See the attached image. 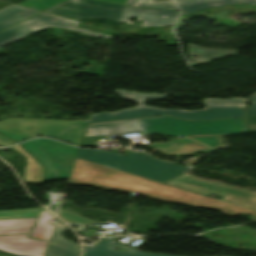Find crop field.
Segmentation results:
<instances>
[{
  "label": "crop field",
  "mask_w": 256,
  "mask_h": 256,
  "mask_svg": "<svg viewBox=\"0 0 256 256\" xmlns=\"http://www.w3.org/2000/svg\"><path fill=\"white\" fill-rule=\"evenodd\" d=\"M87 122L10 118L0 122V133L17 142L37 135H46L79 145ZM29 124L35 125L36 129L25 131V126Z\"/></svg>",
  "instance_id": "crop-field-5"
},
{
  "label": "crop field",
  "mask_w": 256,
  "mask_h": 256,
  "mask_svg": "<svg viewBox=\"0 0 256 256\" xmlns=\"http://www.w3.org/2000/svg\"><path fill=\"white\" fill-rule=\"evenodd\" d=\"M175 142H183V144L180 147H174L172 145ZM222 143L221 136H197L185 137L183 140H174L167 144H152L149 146L158 149L167 156H178L190 155L194 152L208 153L223 147L224 144Z\"/></svg>",
  "instance_id": "crop-field-8"
},
{
  "label": "crop field",
  "mask_w": 256,
  "mask_h": 256,
  "mask_svg": "<svg viewBox=\"0 0 256 256\" xmlns=\"http://www.w3.org/2000/svg\"><path fill=\"white\" fill-rule=\"evenodd\" d=\"M256 131V117L246 119V132Z\"/></svg>",
  "instance_id": "crop-field-23"
},
{
  "label": "crop field",
  "mask_w": 256,
  "mask_h": 256,
  "mask_svg": "<svg viewBox=\"0 0 256 256\" xmlns=\"http://www.w3.org/2000/svg\"><path fill=\"white\" fill-rule=\"evenodd\" d=\"M7 5H10V3L0 1V8L7 6Z\"/></svg>",
  "instance_id": "crop-field-27"
},
{
  "label": "crop field",
  "mask_w": 256,
  "mask_h": 256,
  "mask_svg": "<svg viewBox=\"0 0 256 256\" xmlns=\"http://www.w3.org/2000/svg\"><path fill=\"white\" fill-rule=\"evenodd\" d=\"M59 206H49L48 209H50L52 212H54L56 214L57 212V209H58Z\"/></svg>",
  "instance_id": "crop-field-26"
},
{
  "label": "crop field",
  "mask_w": 256,
  "mask_h": 256,
  "mask_svg": "<svg viewBox=\"0 0 256 256\" xmlns=\"http://www.w3.org/2000/svg\"><path fill=\"white\" fill-rule=\"evenodd\" d=\"M15 150L27 157V164L24 169V180L26 183L42 182V166L29 154H27L19 145L13 146Z\"/></svg>",
  "instance_id": "crop-field-17"
},
{
  "label": "crop field",
  "mask_w": 256,
  "mask_h": 256,
  "mask_svg": "<svg viewBox=\"0 0 256 256\" xmlns=\"http://www.w3.org/2000/svg\"><path fill=\"white\" fill-rule=\"evenodd\" d=\"M243 118L210 122H191L167 116L139 118L88 125L85 137L142 131L164 135L227 134L242 131Z\"/></svg>",
  "instance_id": "crop-field-2"
},
{
  "label": "crop field",
  "mask_w": 256,
  "mask_h": 256,
  "mask_svg": "<svg viewBox=\"0 0 256 256\" xmlns=\"http://www.w3.org/2000/svg\"><path fill=\"white\" fill-rule=\"evenodd\" d=\"M40 210L41 208L15 211H0V219L37 217Z\"/></svg>",
  "instance_id": "crop-field-21"
},
{
  "label": "crop field",
  "mask_w": 256,
  "mask_h": 256,
  "mask_svg": "<svg viewBox=\"0 0 256 256\" xmlns=\"http://www.w3.org/2000/svg\"><path fill=\"white\" fill-rule=\"evenodd\" d=\"M69 183L136 192L164 201H172L199 208L215 209L229 216L249 214L252 215L251 220L256 221V211L224 203L80 159H76L75 161Z\"/></svg>",
  "instance_id": "crop-field-1"
},
{
  "label": "crop field",
  "mask_w": 256,
  "mask_h": 256,
  "mask_svg": "<svg viewBox=\"0 0 256 256\" xmlns=\"http://www.w3.org/2000/svg\"><path fill=\"white\" fill-rule=\"evenodd\" d=\"M115 238H102L97 245L84 247V256H167L151 255L132 248L123 247L121 243L113 242ZM112 247L127 248L129 252L112 250Z\"/></svg>",
  "instance_id": "crop-field-11"
},
{
  "label": "crop field",
  "mask_w": 256,
  "mask_h": 256,
  "mask_svg": "<svg viewBox=\"0 0 256 256\" xmlns=\"http://www.w3.org/2000/svg\"><path fill=\"white\" fill-rule=\"evenodd\" d=\"M177 14V11L130 8L126 6L121 20L130 23L127 18L134 16L139 17L138 20L144 21L143 26H161L173 24Z\"/></svg>",
  "instance_id": "crop-field-10"
},
{
  "label": "crop field",
  "mask_w": 256,
  "mask_h": 256,
  "mask_svg": "<svg viewBox=\"0 0 256 256\" xmlns=\"http://www.w3.org/2000/svg\"><path fill=\"white\" fill-rule=\"evenodd\" d=\"M34 128H35V126L29 125V126H27V127L25 128V130H32V129H34Z\"/></svg>",
  "instance_id": "crop-field-28"
},
{
  "label": "crop field",
  "mask_w": 256,
  "mask_h": 256,
  "mask_svg": "<svg viewBox=\"0 0 256 256\" xmlns=\"http://www.w3.org/2000/svg\"><path fill=\"white\" fill-rule=\"evenodd\" d=\"M126 5L146 7V8H165V9L176 10V7L172 1H161V2L153 3V0H127Z\"/></svg>",
  "instance_id": "crop-field-19"
},
{
  "label": "crop field",
  "mask_w": 256,
  "mask_h": 256,
  "mask_svg": "<svg viewBox=\"0 0 256 256\" xmlns=\"http://www.w3.org/2000/svg\"><path fill=\"white\" fill-rule=\"evenodd\" d=\"M38 12L40 11L19 5L4 7L0 9V31Z\"/></svg>",
  "instance_id": "crop-field-14"
},
{
  "label": "crop field",
  "mask_w": 256,
  "mask_h": 256,
  "mask_svg": "<svg viewBox=\"0 0 256 256\" xmlns=\"http://www.w3.org/2000/svg\"><path fill=\"white\" fill-rule=\"evenodd\" d=\"M124 7L92 0H69L49 8L45 12L77 20L83 18H101L119 22Z\"/></svg>",
  "instance_id": "crop-field-6"
},
{
  "label": "crop field",
  "mask_w": 256,
  "mask_h": 256,
  "mask_svg": "<svg viewBox=\"0 0 256 256\" xmlns=\"http://www.w3.org/2000/svg\"><path fill=\"white\" fill-rule=\"evenodd\" d=\"M188 46L191 66L198 65V62L209 63L211 59H220L227 55H236V50L208 49L193 44H188ZM193 55H198L200 59L193 58ZM192 61H195V63H192Z\"/></svg>",
  "instance_id": "crop-field-15"
},
{
  "label": "crop field",
  "mask_w": 256,
  "mask_h": 256,
  "mask_svg": "<svg viewBox=\"0 0 256 256\" xmlns=\"http://www.w3.org/2000/svg\"><path fill=\"white\" fill-rule=\"evenodd\" d=\"M35 219L0 220V235L29 233Z\"/></svg>",
  "instance_id": "crop-field-16"
},
{
  "label": "crop field",
  "mask_w": 256,
  "mask_h": 256,
  "mask_svg": "<svg viewBox=\"0 0 256 256\" xmlns=\"http://www.w3.org/2000/svg\"><path fill=\"white\" fill-rule=\"evenodd\" d=\"M183 14L191 13L198 9L217 7L229 4L256 5V0H174Z\"/></svg>",
  "instance_id": "crop-field-13"
},
{
  "label": "crop field",
  "mask_w": 256,
  "mask_h": 256,
  "mask_svg": "<svg viewBox=\"0 0 256 256\" xmlns=\"http://www.w3.org/2000/svg\"><path fill=\"white\" fill-rule=\"evenodd\" d=\"M27 236L28 234L0 236V250L23 256H45L49 243Z\"/></svg>",
  "instance_id": "crop-field-9"
},
{
  "label": "crop field",
  "mask_w": 256,
  "mask_h": 256,
  "mask_svg": "<svg viewBox=\"0 0 256 256\" xmlns=\"http://www.w3.org/2000/svg\"><path fill=\"white\" fill-rule=\"evenodd\" d=\"M65 229L66 226L60 224V221L57 220L46 256H79L80 248L78 244L64 239L60 234Z\"/></svg>",
  "instance_id": "crop-field-12"
},
{
  "label": "crop field",
  "mask_w": 256,
  "mask_h": 256,
  "mask_svg": "<svg viewBox=\"0 0 256 256\" xmlns=\"http://www.w3.org/2000/svg\"><path fill=\"white\" fill-rule=\"evenodd\" d=\"M63 0H27L19 5L44 10L52 5H55ZM103 1H109V2H115V3H121L125 4L126 0H103Z\"/></svg>",
  "instance_id": "crop-field-20"
},
{
  "label": "crop field",
  "mask_w": 256,
  "mask_h": 256,
  "mask_svg": "<svg viewBox=\"0 0 256 256\" xmlns=\"http://www.w3.org/2000/svg\"><path fill=\"white\" fill-rule=\"evenodd\" d=\"M13 144L16 143L0 135V146H9Z\"/></svg>",
  "instance_id": "crop-field-25"
},
{
  "label": "crop field",
  "mask_w": 256,
  "mask_h": 256,
  "mask_svg": "<svg viewBox=\"0 0 256 256\" xmlns=\"http://www.w3.org/2000/svg\"><path fill=\"white\" fill-rule=\"evenodd\" d=\"M256 115V94L252 97V106L247 109V116Z\"/></svg>",
  "instance_id": "crop-field-24"
},
{
  "label": "crop field",
  "mask_w": 256,
  "mask_h": 256,
  "mask_svg": "<svg viewBox=\"0 0 256 256\" xmlns=\"http://www.w3.org/2000/svg\"><path fill=\"white\" fill-rule=\"evenodd\" d=\"M78 157L160 182H166L190 170V168L156 160L137 152L123 157L112 152L80 149Z\"/></svg>",
  "instance_id": "crop-field-4"
},
{
  "label": "crop field",
  "mask_w": 256,
  "mask_h": 256,
  "mask_svg": "<svg viewBox=\"0 0 256 256\" xmlns=\"http://www.w3.org/2000/svg\"><path fill=\"white\" fill-rule=\"evenodd\" d=\"M79 21L41 12L3 32L0 33V48L44 27L55 26L62 27L78 32L86 33L97 37H108L76 28Z\"/></svg>",
  "instance_id": "crop-field-7"
},
{
  "label": "crop field",
  "mask_w": 256,
  "mask_h": 256,
  "mask_svg": "<svg viewBox=\"0 0 256 256\" xmlns=\"http://www.w3.org/2000/svg\"><path fill=\"white\" fill-rule=\"evenodd\" d=\"M59 217H61L66 222H72V223H80V224H92V220L88 218H82L77 213H73L66 210H60Z\"/></svg>",
  "instance_id": "crop-field-22"
},
{
  "label": "crop field",
  "mask_w": 256,
  "mask_h": 256,
  "mask_svg": "<svg viewBox=\"0 0 256 256\" xmlns=\"http://www.w3.org/2000/svg\"><path fill=\"white\" fill-rule=\"evenodd\" d=\"M122 99L137 102L134 109L120 110L115 113H98L91 115L89 122L111 121L148 115L169 114L178 118L193 120H214L222 118L241 117L244 115V103L247 99H208L203 101L205 108L197 111H185L177 109H158L144 106L145 99H165L167 94H139L138 92H127L116 90Z\"/></svg>",
  "instance_id": "crop-field-3"
},
{
  "label": "crop field",
  "mask_w": 256,
  "mask_h": 256,
  "mask_svg": "<svg viewBox=\"0 0 256 256\" xmlns=\"http://www.w3.org/2000/svg\"><path fill=\"white\" fill-rule=\"evenodd\" d=\"M54 218L55 217L46 210H43L30 238L41 239L49 242L54 225L47 222L48 220H53Z\"/></svg>",
  "instance_id": "crop-field-18"
}]
</instances>
